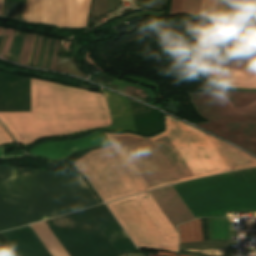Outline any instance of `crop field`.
Here are the masks:
<instances>
[{
  "label": "crop field",
  "instance_id": "crop-field-1",
  "mask_svg": "<svg viewBox=\"0 0 256 256\" xmlns=\"http://www.w3.org/2000/svg\"><path fill=\"white\" fill-rule=\"evenodd\" d=\"M179 121V120H178ZM165 115L166 131L152 138L104 133L147 190L256 166V159Z\"/></svg>",
  "mask_w": 256,
  "mask_h": 256
},
{
  "label": "crop field",
  "instance_id": "crop-field-2",
  "mask_svg": "<svg viewBox=\"0 0 256 256\" xmlns=\"http://www.w3.org/2000/svg\"><path fill=\"white\" fill-rule=\"evenodd\" d=\"M17 143L111 125L101 94L31 79V112L0 113Z\"/></svg>",
  "mask_w": 256,
  "mask_h": 256
},
{
  "label": "crop field",
  "instance_id": "crop-field-3",
  "mask_svg": "<svg viewBox=\"0 0 256 256\" xmlns=\"http://www.w3.org/2000/svg\"><path fill=\"white\" fill-rule=\"evenodd\" d=\"M173 188L195 218L256 211V168L205 177Z\"/></svg>",
  "mask_w": 256,
  "mask_h": 256
},
{
  "label": "crop field",
  "instance_id": "crop-field-4",
  "mask_svg": "<svg viewBox=\"0 0 256 256\" xmlns=\"http://www.w3.org/2000/svg\"><path fill=\"white\" fill-rule=\"evenodd\" d=\"M194 104L210 123L196 124L256 154V93L199 94Z\"/></svg>",
  "mask_w": 256,
  "mask_h": 256
},
{
  "label": "crop field",
  "instance_id": "crop-field-5",
  "mask_svg": "<svg viewBox=\"0 0 256 256\" xmlns=\"http://www.w3.org/2000/svg\"><path fill=\"white\" fill-rule=\"evenodd\" d=\"M106 205L135 245L177 251V233L148 192Z\"/></svg>",
  "mask_w": 256,
  "mask_h": 256
},
{
  "label": "crop field",
  "instance_id": "crop-field-6",
  "mask_svg": "<svg viewBox=\"0 0 256 256\" xmlns=\"http://www.w3.org/2000/svg\"><path fill=\"white\" fill-rule=\"evenodd\" d=\"M73 164L105 202L144 192L111 145L92 150Z\"/></svg>",
  "mask_w": 256,
  "mask_h": 256
},
{
  "label": "crop field",
  "instance_id": "crop-field-7",
  "mask_svg": "<svg viewBox=\"0 0 256 256\" xmlns=\"http://www.w3.org/2000/svg\"><path fill=\"white\" fill-rule=\"evenodd\" d=\"M91 0H31L27 21L85 26Z\"/></svg>",
  "mask_w": 256,
  "mask_h": 256
},
{
  "label": "crop field",
  "instance_id": "crop-field-8",
  "mask_svg": "<svg viewBox=\"0 0 256 256\" xmlns=\"http://www.w3.org/2000/svg\"><path fill=\"white\" fill-rule=\"evenodd\" d=\"M201 17L230 22H256V0H202Z\"/></svg>",
  "mask_w": 256,
  "mask_h": 256
},
{
  "label": "crop field",
  "instance_id": "crop-field-9",
  "mask_svg": "<svg viewBox=\"0 0 256 256\" xmlns=\"http://www.w3.org/2000/svg\"><path fill=\"white\" fill-rule=\"evenodd\" d=\"M109 143L101 131L88 137L68 142H47L32 149L31 153L51 159H65L72 154L92 146Z\"/></svg>",
  "mask_w": 256,
  "mask_h": 256
},
{
  "label": "crop field",
  "instance_id": "crop-field-10",
  "mask_svg": "<svg viewBox=\"0 0 256 256\" xmlns=\"http://www.w3.org/2000/svg\"><path fill=\"white\" fill-rule=\"evenodd\" d=\"M149 194L176 231L177 224L194 219L172 186L150 191Z\"/></svg>",
  "mask_w": 256,
  "mask_h": 256
},
{
  "label": "crop field",
  "instance_id": "crop-field-11",
  "mask_svg": "<svg viewBox=\"0 0 256 256\" xmlns=\"http://www.w3.org/2000/svg\"><path fill=\"white\" fill-rule=\"evenodd\" d=\"M103 91L107 97L113 122V126L103 129L112 131L132 130L136 132L128 99L106 89H103Z\"/></svg>",
  "mask_w": 256,
  "mask_h": 256
},
{
  "label": "crop field",
  "instance_id": "crop-field-12",
  "mask_svg": "<svg viewBox=\"0 0 256 256\" xmlns=\"http://www.w3.org/2000/svg\"><path fill=\"white\" fill-rule=\"evenodd\" d=\"M202 68L256 70V59L186 56Z\"/></svg>",
  "mask_w": 256,
  "mask_h": 256
},
{
  "label": "crop field",
  "instance_id": "crop-field-13",
  "mask_svg": "<svg viewBox=\"0 0 256 256\" xmlns=\"http://www.w3.org/2000/svg\"><path fill=\"white\" fill-rule=\"evenodd\" d=\"M228 87L256 88V71L205 69Z\"/></svg>",
  "mask_w": 256,
  "mask_h": 256
},
{
  "label": "crop field",
  "instance_id": "crop-field-14",
  "mask_svg": "<svg viewBox=\"0 0 256 256\" xmlns=\"http://www.w3.org/2000/svg\"><path fill=\"white\" fill-rule=\"evenodd\" d=\"M52 256H69L45 222L31 225Z\"/></svg>",
  "mask_w": 256,
  "mask_h": 256
},
{
  "label": "crop field",
  "instance_id": "crop-field-15",
  "mask_svg": "<svg viewBox=\"0 0 256 256\" xmlns=\"http://www.w3.org/2000/svg\"><path fill=\"white\" fill-rule=\"evenodd\" d=\"M180 243L203 240L199 219L178 226Z\"/></svg>",
  "mask_w": 256,
  "mask_h": 256
},
{
  "label": "crop field",
  "instance_id": "crop-field-16",
  "mask_svg": "<svg viewBox=\"0 0 256 256\" xmlns=\"http://www.w3.org/2000/svg\"><path fill=\"white\" fill-rule=\"evenodd\" d=\"M230 219H209L210 240H228Z\"/></svg>",
  "mask_w": 256,
  "mask_h": 256
},
{
  "label": "crop field",
  "instance_id": "crop-field-17",
  "mask_svg": "<svg viewBox=\"0 0 256 256\" xmlns=\"http://www.w3.org/2000/svg\"><path fill=\"white\" fill-rule=\"evenodd\" d=\"M201 0H187L184 14L198 16Z\"/></svg>",
  "mask_w": 256,
  "mask_h": 256
},
{
  "label": "crop field",
  "instance_id": "crop-field-18",
  "mask_svg": "<svg viewBox=\"0 0 256 256\" xmlns=\"http://www.w3.org/2000/svg\"><path fill=\"white\" fill-rule=\"evenodd\" d=\"M32 39H33V35H27L26 36L22 56H21V59L19 61L20 63H22L24 65L27 64V61L29 59L30 49H31V45H32Z\"/></svg>",
  "mask_w": 256,
  "mask_h": 256
},
{
  "label": "crop field",
  "instance_id": "crop-field-19",
  "mask_svg": "<svg viewBox=\"0 0 256 256\" xmlns=\"http://www.w3.org/2000/svg\"><path fill=\"white\" fill-rule=\"evenodd\" d=\"M186 0H172L169 15L183 14Z\"/></svg>",
  "mask_w": 256,
  "mask_h": 256
},
{
  "label": "crop field",
  "instance_id": "crop-field-20",
  "mask_svg": "<svg viewBox=\"0 0 256 256\" xmlns=\"http://www.w3.org/2000/svg\"><path fill=\"white\" fill-rule=\"evenodd\" d=\"M11 142H14V141L11 139V137L8 135V133L0 124V144H6Z\"/></svg>",
  "mask_w": 256,
  "mask_h": 256
},
{
  "label": "crop field",
  "instance_id": "crop-field-21",
  "mask_svg": "<svg viewBox=\"0 0 256 256\" xmlns=\"http://www.w3.org/2000/svg\"><path fill=\"white\" fill-rule=\"evenodd\" d=\"M204 240H209L208 218L200 219Z\"/></svg>",
  "mask_w": 256,
  "mask_h": 256
},
{
  "label": "crop field",
  "instance_id": "crop-field-22",
  "mask_svg": "<svg viewBox=\"0 0 256 256\" xmlns=\"http://www.w3.org/2000/svg\"><path fill=\"white\" fill-rule=\"evenodd\" d=\"M54 40H51L49 50H48V55H47V61H46V69L50 68L51 65V59H52V54H53V48H54Z\"/></svg>",
  "mask_w": 256,
  "mask_h": 256
},
{
  "label": "crop field",
  "instance_id": "crop-field-23",
  "mask_svg": "<svg viewBox=\"0 0 256 256\" xmlns=\"http://www.w3.org/2000/svg\"><path fill=\"white\" fill-rule=\"evenodd\" d=\"M113 78L109 77L106 74H101L100 76L96 77L95 79H93V81H101V82H106L107 84H110V82L112 81Z\"/></svg>",
  "mask_w": 256,
  "mask_h": 256
},
{
  "label": "crop field",
  "instance_id": "crop-field-24",
  "mask_svg": "<svg viewBox=\"0 0 256 256\" xmlns=\"http://www.w3.org/2000/svg\"><path fill=\"white\" fill-rule=\"evenodd\" d=\"M12 37L13 36H10V37L7 38L6 43L4 45V48L2 50V54L5 55V56L7 55L8 51H9L10 44H11V41H12Z\"/></svg>",
  "mask_w": 256,
  "mask_h": 256
},
{
  "label": "crop field",
  "instance_id": "crop-field-25",
  "mask_svg": "<svg viewBox=\"0 0 256 256\" xmlns=\"http://www.w3.org/2000/svg\"><path fill=\"white\" fill-rule=\"evenodd\" d=\"M29 5H30V0H26L25 8H24V13H23V17H22V20H24V21H26V19H27Z\"/></svg>",
  "mask_w": 256,
  "mask_h": 256
},
{
  "label": "crop field",
  "instance_id": "crop-field-26",
  "mask_svg": "<svg viewBox=\"0 0 256 256\" xmlns=\"http://www.w3.org/2000/svg\"><path fill=\"white\" fill-rule=\"evenodd\" d=\"M57 49H58V41L56 40L51 69L54 68V64H55V60H56V55H57Z\"/></svg>",
  "mask_w": 256,
  "mask_h": 256
},
{
  "label": "crop field",
  "instance_id": "crop-field-27",
  "mask_svg": "<svg viewBox=\"0 0 256 256\" xmlns=\"http://www.w3.org/2000/svg\"><path fill=\"white\" fill-rule=\"evenodd\" d=\"M26 155V154H24ZM24 155H10V156H4L3 153V147H0V158H12V157H22Z\"/></svg>",
  "mask_w": 256,
  "mask_h": 256
},
{
  "label": "crop field",
  "instance_id": "crop-field-28",
  "mask_svg": "<svg viewBox=\"0 0 256 256\" xmlns=\"http://www.w3.org/2000/svg\"><path fill=\"white\" fill-rule=\"evenodd\" d=\"M149 256H162V255H165V256H177V254H174V253H167V252H161V251H158L157 255H151V254H148Z\"/></svg>",
  "mask_w": 256,
  "mask_h": 256
},
{
  "label": "crop field",
  "instance_id": "crop-field-29",
  "mask_svg": "<svg viewBox=\"0 0 256 256\" xmlns=\"http://www.w3.org/2000/svg\"><path fill=\"white\" fill-rule=\"evenodd\" d=\"M41 38H42V37L40 36V37H39V41H38V45H37V49H36V53H35V57H34V61H33V65H35V61H36L37 53H38V50H39Z\"/></svg>",
  "mask_w": 256,
  "mask_h": 256
},
{
  "label": "crop field",
  "instance_id": "crop-field-30",
  "mask_svg": "<svg viewBox=\"0 0 256 256\" xmlns=\"http://www.w3.org/2000/svg\"><path fill=\"white\" fill-rule=\"evenodd\" d=\"M134 88H135V87H128V86H127L124 93L130 96V94L132 93V91L134 90Z\"/></svg>",
  "mask_w": 256,
  "mask_h": 256
},
{
  "label": "crop field",
  "instance_id": "crop-field-31",
  "mask_svg": "<svg viewBox=\"0 0 256 256\" xmlns=\"http://www.w3.org/2000/svg\"><path fill=\"white\" fill-rule=\"evenodd\" d=\"M14 32H15V31H13V30L5 29L3 35H12V34H14Z\"/></svg>",
  "mask_w": 256,
  "mask_h": 256
},
{
  "label": "crop field",
  "instance_id": "crop-field-32",
  "mask_svg": "<svg viewBox=\"0 0 256 256\" xmlns=\"http://www.w3.org/2000/svg\"><path fill=\"white\" fill-rule=\"evenodd\" d=\"M25 36H26V35H24V37H23V42H22V46H21V51H22V47H23L24 40H25ZM20 56H21V52H20ZM20 56H19V58H20ZM18 61H19V59H18ZM18 61H17V62H18Z\"/></svg>",
  "mask_w": 256,
  "mask_h": 256
},
{
  "label": "crop field",
  "instance_id": "crop-field-33",
  "mask_svg": "<svg viewBox=\"0 0 256 256\" xmlns=\"http://www.w3.org/2000/svg\"><path fill=\"white\" fill-rule=\"evenodd\" d=\"M4 38H5V37L2 38V42H1V45H0V49H1V46H2V44H3ZM6 38H7V37H6ZM6 38H5V40H6ZM4 43H5V41H4ZM3 45H4V44H3ZM2 48H3V46H2ZM1 50H2V49H1Z\"/></svg>",
  "mask_w": 256,
  "mask_h": 256
},
{
  "label": "crop field",
  "instance_id": "crop-field-34",
  "mask_svg": "<svg viewBox=\"0 0 256 256\" xmlns=\"http://www.w3.org/2000/svg\"><path fill=\"white\" fill-rule=\"evenodd\" d=\"M2 3H3V0H0V13H1V8H2Z\"/></svg>",
  "mask_w": 256,
  "mask_h": 256
},
{
  "label": "crop field",
  "instance_id": "crop-field-35",
  "mask_svg": "<svg viewBox=\"0 0 256 256\" xmlns=\"http://www.w3.org/2000/svg\"><path fill=\"white\" fill-rule=\"evenodd\" d=\"M3 28H0V35H2L3 34Z\"/></svg>",
  "mask_w": 256,
  "mask_h": 256
},
{
  "label": "crop field",
  "instance_id": "crop-field-36",
  "mask_svg": "<svg viewBox=\"0 0 256 256\" xmlns=\"http://www.w3.org/2000/svg\"><path fill=\"white\" fill-rule=\"evenodd\" d=\"M35 36H36V35H35ZM35 36H34V40H35ZM34 40H33V44H34ZM32 49H33V46H32ZM31 53H32V51H31ZM30 57H31V56H30ZM28 64H29V62H28ZM28 64H27V65H28Z\"/></svg>",
  "mask_w": 256,
  "mask_h": 256
},
{
  "label": "crop field",
  "instance_id": "crop-field-37",
  "mask_svg": "<svg viewBox=\"0 0 256 256\" xmlns=\"http://www.w3.org/2000/svg\"><path fill=\"white\" fill-rule=\"evenodd\" d=\"M0 256H2V254L0 253Z\"/></svg>",
  "mask_w": 256,
  "mask_h": 256
},
{
  "label": "crop field",
  "instance_id": "crop-field-38",
  "mask_svg": "<svg viewBox=\"0 0 256 256\" xmlns=\"http://www.w3.org/2000/svg\"><path fill=\"white\" fill-rule=\"evenodd\" d=\"M178 256H182V255H178Z\"/></svg>",
  "mask_w": 256,
  "mask_h": 256
}]
</instances>
